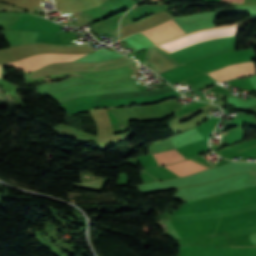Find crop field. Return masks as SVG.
Instances as JSON below:
<instances>
[{
    "label": "crop field",
    "mask_w": 256,
    "mask_h": 256,
    "mask_svg": "<svg viewBox=\"0 0 256 256\" xmlns=\"http://www.w3.org/2000/svg\"><path fill=\"white\" fill-rule=\"evenodd\" d=\"M234 37L222 38L196 44L178 51L171 52L174 58L186 64L194 59L207 56L213 53L232 51L235 48Z\"/></svg>",
    "instance_id": "obj_1"
},
{
    "label": "crop field",
    "mask_w": 256,
    "mask_h": 256,
    "mask_svg": "<svg viewBox=\"0 0 256 256\" xmlns=\"http://www.w3.org/2000/svg\"><path fill=\"white\" fill-rule=\"evenodd\" d=\"M86 54L88 53L74 55L39 54L7 64L21 71L31 72L50 63L74 61Z\"/></svg>",
    "instance_id": "obj_2"
},
{
    "label": "crop field",
    "mask_w": 256,
    "mask_h": 256,
    "mask_svg": "<svg viewBox=\"0 0 256 256\" xmlns=\"http://www.w3.org/2000/svg\"><path fill=\"white\" fill-rule=\"evenodd\" d=\"M215 80L222 82L234 78L244 77L255 74L254 65L251 62L234 64L232 66L222 68L207 73Z\"/></svg>",
    "instance_id": "obj_3"
},
{
    "label": "crop field",
    "mask_w": 256,
    "mask_h": 256,
    "mask_svg": "<svg viewBox=\"0 0 256 256\" xmlns=\"http://www.w3.org/2000/svg\"><path fill=\"white\" fill-rule=\"evenodd\" d=\"M141 33L148 36L154 44L185 34L172 19L160 26L148 29Z\"/></svg>",
    "instance_id": "obj_4"
},
{
    "label": "crop field",
    "mask_w": 256,
    "mask_h": 256,
    "mask_svg": "<svg viewBox=\"0 0 256 256\" xmlns=\"http://www.w3.org/2000/svg\"><path fill=\"white\" fill-rule=\"evenodd\" d=\"M60 25L49 21L22 17L10 30L59 32Z\"/></svg>",
    "instance_id": "obj_5"
},
{
    "label": "crop field",
    "mask_w": 256,
    "mask_h": 256,
    "mask_svg": "<svg viewBox=\"0 0 256 256\" xmlns=\"http://www.w3.org/2000/svg\"><path fill=\"white\" fill-rule=\"evenodd\" d=\"M21 38L22 44L37 42L60 44V34L21 31Z\"/></svg>",
    "instance_id": "obj_6"
},
{
    "label": "crop field",
    "mask_w": 256,
    "mask_h": 256,
    "mask_svg": "<svg viewBox=\"0 0 256 256\" xmlns=\"http://www.w3.org/2000/svg\"><path fill=\"white\" fill-rule=\"evenodd\" d=\"M165 168L171 170L172 172L180 175V176H185L203 169H207L201 165H198L190 160L183 161L176 163L174 165L170 166H165Z\"/></svg>",
    "instance_id": "obj_7"
},
{
    "label": "crop field",
    "mask_w": 256,
    "mask_h": 256,
    "mask_svg": "<svg viewBox=\"0 0 256 256\" xmlns=\"http://www.w3.org/2000/svg\"><path fill=\"white\" fill-rule=\"evenodd\" d=\"M140 91L138 87H130V88H123V89H111V90H99V91H90V92H81V93H75L68 95L66 97L56 99L59 103L78 98V97H84V96H91V95H98V94H104V93H118V92H135Z\"/></svg>",
    "instance_id": "obj_8"
},
{
    "label": "crop field",
    "mask_w": 256,
    "mask_h": 256,
    "mask_svg": "<svg viewBox=\"0 0 256 256\" xmlns=\"http://www.w3.org/2000/svg\"><path fill=\"white\" fill-rule=\"evenodd\" d=\"M153 155L156 158V160L158 161L159 165L174 163V162H178V161L185 159L179 153H177L175 150L161 152V153H155Z\"/></svg>",
    "instance_id": "obj_9"
},
{
    "label": "crop field",
    "mask_w": 256,
    "mask_h": 256,
    "mask_svg": "<svg viewBox=\"0 0 256 256\" xmlns=\"http://www.w3.org/2000/svg\"><path fill=\"white\" fill-rule=\"evenodd\" d=\"M0 78H1V66H0Z\"/></svg>",
    "instance_id": "obj_10"
}]
</instances>
